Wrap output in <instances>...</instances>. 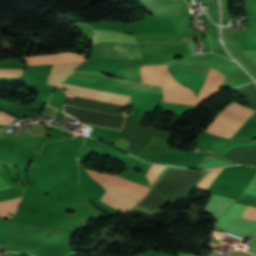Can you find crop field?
Masks as SVG:
<instances>
[{"label": "crop field", "mask_w": 256, "mask_h": 256, "mask_svg": "<svg viewBox=\"0 0 256 256\" xmlns=\"http://www.w3.org/2000/svg\"><path fill=\"white\" fill-rule=\"evenodd\" d=\"M151 189H152V187H151ZM151 189H150L149 192L134 206V208L141 209V208H138V207H136V206L150 193ZM165 203H166V201H165L154 213H152V214L157 213V212L159 211V209H160ZM141 210H143V209H141ZM144 211H146V210H144ZM147 212H148V211H147ZM149 213H150V212H149Z\"/></svg>", "instance_id": "733c2abd"}, {"label": "crop field", "mask_w": 256, "mask_h": 256, "mask_svg": "<svg viewBox=\"0 0 256 256\" xmlns=\"http://www.w3.org/2000/svg\"><path fill=\"white\" fill-rule=\"evenodd\" d=\"M215 228L220 229V228H218V227H216V226H215Z\"/></svg>", "instance_id": "214f88e0"}, {"label": "crop field", "mask_w": 256, "mask_h": 256, "mask_svg": "<svg viewBox=\"0 0 256 256\" xmlns=\"http://www.w3.org/2000/svg\"><path fill=\"white\" fill-rule=\"evenodd\" d=\"M210 256H221V254H218V253H216V252L211 251ZM227 256H241V255L236 254V253L230 251Z\"/></svg>", "instance_id": "4a817a6b"}, {"label": "crop field", "mask_w": 256, "mask_h": 256, "mask_svg": "<svg viewBox=\"0 0 256 256\" xmlns=\"http://www.w3.org/2000/svg\"><path fill=\"white\" fill-rule=\"evenodd\" d=\"M71 76H76L80 78L90 79L94 81L104 82V83L118 85V86L127 87V88L162 93L161 87L113 80L97 73L73 72ZM58 87L67 89V91L64 93L68 95H73V96L123 105V106H128L129 100H130L129 95L97 90L92 88H86L81 86H75L70 84L61 83ZM73 96H68V97H73Z\"/></svg>", "instance_id": "8a807250"}, {"label": "crop field", "mask_w": 256, "mask_h": 256, "mask_svg": "<svg viewBox=\"0 0 256 256\" xmlns=\"http://www.w3.org/2000/svg\"><path fill=\"white\" fill-rule=\"evenodd\" d=\"M59 63L84 60L86 54L78 55L75 53H59L57 54Z\"/></svg>", "instance_id": "22f410ed"}, {"label": "crop field", "mask_w": 256, "mask_h": 256, "mask_svg": "<svg viewBox=\"0 0 256 256\" xmlns=\"http://www.w3.org/2000/svg\"><path fill=\"white\" fill-rule=\"evenodd\" d=\"M166 65L141 66V74H169ZM175 80L171 75H142V81L162 85V82Z\"/></svg>", "instance_id": "dd49c442"}, {"label": "crop field", "mask_w": 256, "mask_h": 256, "mask_svg": "<svg viewBox=\"0 0 256 256\" xmlns=\"http://www.w3.org/2000/svg\"><path fill=\"white\" fill-rule=\"evenodd\" d=\"M236 201L256 206V196L248 193L242 192ZM249 205L247 206L242 218L256 221V207L249 206Z\"/></svg>", "instance_id": "3316defc"}, {"label": "crop field", "mask_w": 256, "mask_h": 256, "mask_svg": "<svg viewBox=\"0 0 256 256\" xmlns=\"http://www.w3.org/2000/svg\"><path fill=\"white\" fill-rule=\"evenodd\" d=\"M116 175L126 178L128 180H131L133 182H136L138 184H141L143 186H146L148 188L151 187L150 184L148 183V180L143 175L133 173L130 171H124V172H122L120 174H116ZM98 182L106 189L105 195L100 200L107 204H110L122 211L128 212L140 200V198L133 196L129 193H126L122 190L114 188V187L107 185L103 182H100V181H98Z\"/></svg>", "instance_id": "412701ff"}, {"label": "crop field", "mask_w": 256, "mask_h": 256, "mask_svg": "<svg viewBox=\"0 0 256 256\" xmlns=\"http://www.w3.org/2000/svg\"><path fill=\"white\" fill-rule=\"evenodd\" d=\"M143 117L128 116L121 136L114 143L115 146L139 156L151 143L152 137L168 140L171 134L159 131L155 126L141 127Z\"/></svg>", "instance_id": "ac0d7876"}, {"label": "crop field", "mask_w": 256, "mask_h": 256, "mask_svg": "<svg viewBox=\"0 0 256 256\" xmlns=\"http://www.w3.org/2000/svg\"><path fill=\"white\" fill-rule=\"evenodd\" d=\"M100 58H142L136 44L122 42H101L93 45L91 54L86 60Z\"/></svg>", "instance_id": "f4fd0767"}, {"label": "crop field", "mask_w": 256, "mask_h": 256, "mask_svg": "<svg viewBox=\"0 0 256 256\" xmlns=\"http://www.w3.org/2000/svg\"><path fill=\"white\" fill-rule=\"evenodd\" d=\"M95 35L92 39L93 44L99 41L114 40V41H130L136 42L134 35L123 34L109 29H94Z\"/></svg>", "instance_id": "d8731c3e"}, {"label": "crop field", "mask_w": 256, "mask_h": 256, "mask_svg": "<svg viewBox=\"0 0 256 256\" xmlns=\"http://www.w3.org/2000/svg\"><path fill=\"white\" fill-rule=\"evenodd\" d=\"M81 62L82 61L54 65L46 83L57 86Z\"/></svg>", "instance_id": "e52e79f7"}, {"label": "crop field", "mask_w": 256, "mask_h": 256, "mask_svg": "<svg viewBox=\"0 0 256 256\" xmlns=\"http://www.w3.org/2000/svg\"><path fill=\"white\" fill-rule=\"evenodd\" d=\"M168 168H172V167H166L164 170H163V172L157 177V179H156V182L159 180V178L161 177V175L168 169ZM173 169H181V168H173ZM181 170H189V171H196V172H202V171H197V170H190V169H181ZM202 173H204V172H202ZM206 175V173H204L203 175H202V177L197 181V183L193 186V188L188 192V194L185 196V197H187L188 195H189V193L196 187V185L203 179V177ZM155 185H156V183L155 184H153V188H155ZM185 197H183V198H185ZM182 198V199H183ZM181 200V199H180Z\"/></svg>", "instance_id": "d9b57169"}, {"label": "crop field", "mask_w": 256, "mask_h": 256, "mask_svg": "<svg viewBox=\"0 0 256 256\" xmlns=\"http://www.w3.org/2000/svg\"><path fill=\"white\" fill-rule=\"evenodd\" d=\"M209 154H210V155H214V154H212V153H210V152H209ZM210 155H207V156H208V157H214V158H217V157H215V156H210Z\"/></svg>", "instance_id": "bc2a9ffb"}, {"label": "crop field", "mask_w": 256, "mask_h": 256, "mask_svg": "<svg viewBox=\"0 0 256 256\" xmlns=\"http://www.w3.org/2000/svg\"><path fill=\"white\" fill-rule=\"evenodd\" d=\"M163 165H156L152 164L149 168L146 176L149 179V182L152 184V182L155 180L156 176L160 173V171L164 168Z\"/></svg>", "instance_id": "cbeb9de0"}, {"label": "crop field", "mask_w": 256, "mask_h": 256, "mask_svg": "<svg viewBox=\"0 0 256 256\" xmlns=\"http://www.w3.org/2000/svg\"><path fill=\"white\" fill-rule=\"evenodd\" d=\"M223 168H217V169H213L211 170L206 177L200 182V184L196 187V189L202 190V191H206V189L208 188V186L211 184V182L213 181V179L220 173V171Z\"/></svg>", "instance_id": "d1516ede"}, {"label": "crop field", "mask_w": 256, "mask_h": 256, "mask_svg": "<svg viewBox=\"0 0 256 256\" xmlns=\"http://www.w3.org/2000/svg\"><path fill=\"white\" fill-rule=\"evenodd\" d=\"M10 188L7 182L0 177V190ZM20 198H15L7 201L0 202V217H4L10 219L9 214H14L18 203L20 202Z\"/></svg>", "instance_id": "5a996713"}, {"label": "crop field", "mask_w": 256, "mask_h": 256, "mask_svg": "<svg viewBox=\"0 0 256 256\" xmlns=\"http://www.w3.org/2000/svg\"><path fill=\"white\" fill-rule=\"evenodd\" d=\"M253 113L254 111L233 102L220 111L205 131L215 135L232 137Z\"/></svg>", "instance_id": "34b2d1b8"}, {"label": "crop field", "mask_w": 256, "mask_h": 256, "mask_svg": "<svg viewBox=\"0 0 256 256\" xmlns=\"http://www.w3.org/2000/svg\"><path fill=\"white\" fill-rule=\"evenodd\" d=\"M24 70L18 69H4L0 70V77H19L22 75Z\"/></svg>", "instance_id": "5142ce71"}, {"label": "crop field", "mask_w": 256, "mask_h": 256, "mask_svg": "<svg viewBox=\"0 0 256 256\" xmlns=\"http://www.w3.org/2000/svg\"><path fill=\"white\" fill-rule=\"evenodd\" d=\"M28 65L58 63L56 54L25 57Z\"/></svg>", "instance_id": "28ad6ade"}]
</instances>
